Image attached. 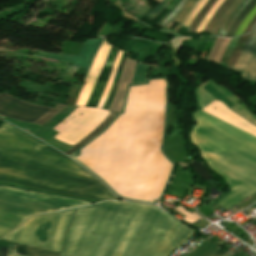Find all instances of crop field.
<instances>
[{"mask_svg": "<svg viewBox=\"0 0 256 256\" xmlns=\"http://www.w3.org/2000/svg\"><path fill=\"white\" fill-rule=\"evenodd\" d=\"M60 253L9 243L8 256H59Z\"/></svg>", "mask_w": 256, "mask_h": 256, "instance_id": "11", "label": "crop field"}, {"mask_svg": "<svg viewBox=\"0 0 256 256\" xmlns=\"http://www.w3.org/2000/svg\"><path fill=\"white\" fill-rule=\"evenodd\" d=\"M231 256H236V255L232 254Z\"/></svg>", "mask_w": 256, "mask_h": 256, "instance_id": "33", "label": "crop field"}, {"mask_svg": "<svg viewBox=\"0 0 256 256\" xmlns=\"http://www.w3.org/2000/svg\"><path fill=\"white\" fill-rule=\"evenodd\" d=\"M8 248L1 247L0 256H6Z\"/></svg>", "mask_w": 256, "mask_h": 256, "instance_id": "32", "label": "crop field"}, {"mask_svg": "<svg viewBox=\"0 0 256 256\" xmlns=\"http://www.w3.org/2000/svg\"><path fill=\"white\" fill-rule=\"evenodd\" d=\"M110 45H108L106 43V41L104 40V42L102 43V45L100 46L96 57L94 59V62L85 78V83L81 89L78 101H77V106H84L89 95L90 92L93 88V85L100 73V70L105 62L106 56L108 54V51L110 49Z\"/></svg>", "mask_w": 256, "mask_h": 256, "instance_id": "9", "label": "crop field"}, {"mask_svg": "<svg viewBox=\"0 0 256 256\" xmlns=\"http://www.w3.org/2000/svg\"><path fill=\"white\" fill-rule=\"evenodd\" d=\"M147 65L137 64L134 70L132 84L145 82V76L148 70Z\"/></svg>", "mask_w": 256, "mask_h": 256, "instance_id": "22", "label": "crop field"}, {"mask_svg": "<svg viewBox=\"0 0 256 256\" xmlns=\"http://www.w3.org/2000/svg\"><path fill=\"white\" fill-rule=\"evenodd\" d=\"M226 252H228V251H226V250H224V249H219V250H217L216 252H214L212 255H210V256H222V255H224Z\"/></svg>", "mask_w": 256, "mask_h": 256, "instance_id": "30", "label": "crop field"}, {"mask_svg": "<svg viewBox=\"0 0 256 256\" xmlns=\"http://www.w3.org/2000/svg\"><path fill=\"white\" fill-rule=\"evenodd\" d=\"M27 192L31 194L27 195ZM90 203L92 202L0 185V237L33 214Z\"/></svg>", "mask_w": 256, "mask_h": 256, "instance_id": "5", "label": "crop field"}, {"mask_svg": "<svg viewBox=\"0 0 256 256\" xmlns=\"http://www.w3.org/2000/svg\"><path fill=\"white\" fill-rule=\"evenodd\" d=\"M186 0H182L177 8L170 14V16L165 20V22L161 25V27H166L169 23V21L174 17V15L178 12V10L181 8V6L184 4Z\"/></svg>", "mask_w": 256, "mask_h": 256, "instance_id": "28", "label": "crop field"}, {"mask_svg": "<svg viewBox=\"0 0 256 256\" xmlns=\"http://www.w3.org/2000/svg\"><path fill=\"white\" fill-rule=\"evenodd\" d=\"M117 113L115 112H111L105 119V121L100 124L98 126V128L93 131L92 133H90L89 135H87L86 137H84L79 143H77L76 145H74L73 147H71L70 149H68L66 152V154H70L72 153L75 149H77L79 146H81L82 144H84L85 142H87L88 140H90L91 138H93L96 134H98L115 116Z\"/></svg>", "mask_w": 256, "mask_h": 256, "instance_id": "13", "label": "crop field"}, {"mask_svg": "<svg viewBox=\"0 0 256 256\" xmlns=\"http://www.w3.org/2000/svg\"><path fill=\"white\" fill-rule=\"evenodd\" d=\"M117 52H118L117 50H115L114 48H111V50L108 54V57L106 59L105 66L102 69V71L98 77V80L92 90L91 96L86 104L87 107H96L97 106L99 98L101 96V93L106 85L108 76L112 69L114 58H115Z\"/></svg>", "mask_w": 256, "mask_h": 256, "instance_id": "10", "label": "crop field"}, {"mask_svg": "<svg viewBox=\"0 0 256 256\" xmlns=\"http://www.w3.org/2000/svg\"><path fill=\"white\" fill-rule=\"evenodd\" d=\"M122 53L123 52H121V51H119V53H118V56L116 58L115 64L113 66V69L111 71L108 83H107V85H106V87H105V89H104V91L102 93V96L100 98L99 104L97 106L99 108H102V106H103V104H104V102H105V100L107 98V95H108V93H109V91L111 89V86H112V83H113V79H114V75H115V72H116V69H117V66H118V63H119V60H120V57H121Z\"/></svg>", "mask_w": 256, "mask_h": 256, "instance_id": "15", "label": "crop field"}, {"mask_svg": "<svg viewBox=\"0 0 256 256\" xmlns=\"http://www.w3.org/2000/svg\"><path fill=\"white\" fill-rule=\"evenodd\" d=\"M233 0H225V2L220 6L218 11L215 13V15L211 18V20L208 22L205 32L210 33L213 25L219 20L221 14L225 11V9L231 4ZM223 15V14H222Z\"/></svg>", "mask_w": 256, "mask_h": 256, "instance_id": "19", "label": "crop field"}, {"mask_svg": "<svg viewBox=\"0 0 256 256\" xmlns=\"http://www.w3.org/2000/svg\"><path fill=\"white\" fill-rule=\"evenodd\" d=\"M66 105L58 104L54 109L49 111L46 115L38 119L34 124L37 125H44L49 119H51L53 116H55L57 113H59Z\"/></svg>", "mask_w": 256, "mask_h": 256, "instance_id": "24", "label": "crop field"}, {"mask_svg": "<svg viewBox=\"0 0 256 256\" xmlns=\"http://www.w3.org/2000/svg\"><path fill=\"white\" fill-rule=\"evenodd\" d=\"M207 0H199L194 10L191 12L189 17L184 22L183 26H189L194 17L197 15V13L200 11V9L203 7V5L206 3Z\"/></svg>", "mask_w": 256, "mask_h": 256, "instance_id": "26", "label": "crop field"}, {"mask_svg": "<svg viewBox=\"0 0 256 256\" xmlns=\"http://www.w3.org/2000/svg\"><path fill=\"white\" fill-rule=\"evenodd\" d=\"M180 2V0L173 6V8L169 11V13L160 21L157 23V25L160 26V24L169 16V14L175 9L176 5Z\"/></svg>", "mask_w": 256, "mask_h": 256, "instance_id": "31", "label": "crop field"}, {"mask_svg": "<svg viewBox=\"0 0 256 256\" xmlns=\"http://www.w3.org/2000/svg\"><path fill=\"white\" fill-rule=\"evenodd\" d=\"M0 103L5 106H8L10 108H13V109H16V110H19L22 112H26V113H29V114H32V115H35L38 117H41L46 112H48L49 110L52 109V108H47V107H43V106L26 103V102H24L18 98H15L5 92L0 93ZM3 105H0V117L1 118H4L5 116H7L12 119L26 121V122H30V123H33L36 119H38V117L10 109Z\"/></svg>", "mask_w": 256, "mask_h": 256, "instance_id": "7", "label": "crop field"}, {"mask_svg": "<svg viewBox=\"0 0 256 256\" xmlns=\"http://www.w3.org/2000/svg\"><path fill=\"white\" fill-rule=\"evenodd\" d=\"M198 0H187L183 5L182 9L176 14L172 21L177 22L182 25L185 18L191 12ZM199 2V1H198Z\"/></svg>", "mask_w": 256, "mask_h": 256, "instance_id": "16", "label": "crop field"}, {"mask_svg": "<svg viewBox=\"0 0 256 256\" xmlns=\"http://www.w3.org/2000/svg\"><path fill=\"white\" fill-rule=\"evenodd\" d=\"M167 3H163L161 2L158 6H156L154 9H152L151 11H149L146 15L148 19H150L152 21V19L157 16L165 7H166Z\"/></svg>", "mask_w": 256, "mask_h": 256, "instance_id": "27", "label": "crop field"}, {"mask_svg": "<svg viewBox=\"0 0 256 256\" xmlns=\"http://www.w3.org/2000/svg\"><path fill=\"white\" fill-rule=\"evenodd\" d=\"M216 0H208V2L205 4V6L201 9V11L198 13V15L195 17L193 23L190 25L188 29V33H193L200 23L203 16L206 14V12L210 9V7L215 3Z\"/></svg>", "mask_w": 256, "mask_h": 256, "instance_id": "18", "label": "crop field"}, {"mask_svg": "<svg viewBox=\"0 0 256 256\" xmlns=\"http://www.w3.org/2000/svg\"><path fill=\"white\" fill-rule=\"evenodd\" d=\"M161 78H165L167 87L165 80ZM161 78L147 79L146 83H142L148 84L149 80L161 79L150 81L148 85L135 84L142 86L130 87L127 101L129 86H134L129 85L126 90L121 113H118L93 139L101 135L120 114H123L127 101L124 114L120 115L101 136L94 141L91 139L69 155L77 162L81 161L92 169L117 193L128 198L152 202H155L160 195L173 164L167 183L160 197L155 203H152L128 199L117 194L92 170L79 162L114 194L127 200L156 204L163 196L174 169L175 163L169 159L163 151L169 106L167 95L169 83L166 77ZM164 90L166 95V116ZM164 116L165 126L163 133ZM162 133L161 151L172 164L160 151Z\"/></svg>", "mask_w": 256, "mask_h": 256, "instance_id": "1", "label": "crop field"}, {"mask_svg": "<svg viewBox=\"0 0 256 256\" xmlns=\"http://www.w3.org/2000/svg\"><path fill=\"white\" fill-rule=\"evenodd\" d=\"M103 38L97 40H86L83 44L74 65L88 68L91 60L98 49Z\"/></svg>", "mask_w": 256, "mask_h": 256, "instance_id": "12", "label": "crop field"}, {"mask_svg": "<svg viewBox=\"0 0 256 256\" xmlns=\"http://www.w3.org/2000/svg\"><path fill=\"white\" fill-rule=\"evenodd\" d=\"M37 54L43 55V56H46V57H50V58H54V59L69 61V62H74V60L76 59V56H74V55L44 53V52H39Z\"/></svg>", "mask_w": 256, "mask_h": 256, "instance_id": "25", "label": "crop field"}, {"mask_svg": "<svg viewBox=\"0 0 256 256\" xmlns=\"http://www.w3.org/2000/svg\"><path fill=\"white\" fill-rule=\"evenodd\" d=\"M234 70L242 71L241 77L256 80V28L251 33Z\"/></svg>", "mask_w": 256, "mask_h": 256, "instance_id": "8", "label": "crop field"}, {"mask_svg": "<svg viewBox=\"0 0 256 256\" xmlns=\"http://www.w3.org/2000/svg\"><path fill=\"white\" fill-rule=\"evenodd\" d=\"M248 35L249 34L243 35L239 39V41H238V43H237V45H236V47H235V49H234V51L232 53L230 61H229L228 65H227V68L232 69L233 65L235 64V62H236V60H237V58H238V56H239V54H240V52H241V50L243 48V45H244Z\"/></svg>", "mask_w": 256, "mask_h": 256, "instance_id": "20", "label": "crop field"}, {"mask_svg": "<svg viewBox=\"0 0 256 256\" xmlns=\"http://www.w3.org/2000/svg\"><path fill=\"white\" fill-rule=\"evenodd\" d=\"M73 210L33 216L2 239L60 252Z\"/></svg>", "mask_w": 256, "mask_h": 256, "instance_id": "6", "label": "crop field"}, {"mask_svg": "<svg viewBox=\"0 0 256 256\" xmlns=\"http://www.w3.org/2000/svg\"><path fill=\"white\" fill-rule=\"evenodd\" d=\"M224 0H217L216 3L211 7V9L207 12V14L202 19L201 23L199 24L198 28L196 29L195 33L202 32L205 28L209 19L214 15L215 11L218 7L223 3Z\"/></svg>", "mask_w": 256, "mask_h": 256, "instance_id": "21", "label": "crop field"}, {"mask_svg": "<svg viewBox=\"0 0 256 256\" xmlns=\"http://www.w3.org/2000/svg\"><path fill=\"white\" fill-rule=\"evenodd\" d=\"M195 93L198 108L256 135L255 126L249 124L250 122L248 123L242 119L218 100L220 98L229 107L241 101L225 87L217 85L210 80L197 87ZM200 109L193 113V115L256 144V136ZM196 117H194L197 122L196 125L256 154V145ZM196 125H194V129L190 134L191 143L200 149L201 156L209 167L220 175L232 190L217 205L224 209H229L256 193V155Z\"/></svg>", "mask_w": 256, "mask_h": 256, "instance_id": "3", "label": "crop field"}, {"mask_svg": "<svg viewBox=\"0 0 256 256\" xmlns=\"http://www.w3.org/2000/svg\"><path fill=\"white\" fill-rule=\"evenodd\" d=\"M255 22H256V16H255V17L253 18V20L249 23V25L245 28V30L243 31V33L249 32ZM255 24H256V23H255Z\"/></svg>", "mask_w": 256, "mask_h": 256, "instance_id": "29", "label": "crop field"}, {"mask_svg": "<svg viewBox=\"0 0 256 256\" xmlns=\"http://www.w3.org/2000/svg\"><path fill=\"white\" fill-rule=\"evenodd\" d=\"M256 4V0H251L249 4L242 10V12L237 16V18L234 20L231 27L228 29L226 36L231 37L238 25L242 22V20L247 16V14L250 12V10L253 8V6Z\"/></svg>", "mask_w": 256, "mask_h": 256, "instance_id": "14", "label": "crop field"}, {"mask_svg": "<svg viewBox=\"0 0 256 256\" xmlns=\"http://www.w3.org/2000/svg\"><path fill=\"white\" fill-rule=\"evenodd\" d=\"M231 109L237 113H239L240 115L246 117L247 119H249L250 121L256 123V115H254L251 111H249L243 102H241L238 105H235L233 107H231Z\"/></svg>", "mask_w": 256, "mask_h": 256, "instance_id": "23", "label": "crop field"}, {"mask_svg": "<svg viewBox=\"0 0 256 256\" xmlns=\"http://www.w3.org/2000/svg\"><path fill=\"white\" fill-rule=\"evenodd\" d=\"M0 180L96 201L119 198L64 154L3 122Z\"/></svg>", "mask_w": 256, "mask_h": 256, "instance_id": "4", "label": "crop field"}, {"mask_svg": "<svg viewBox=\"0 0 256 256\" xmlns=\"http://www.w3.org/2000/svg\"><path fill=\"white\" fill-rule=\"evenodd\" d=\"M185 256V255H184Z\"/></svg>", "mask_w": 256, "mask_h": 256, "instance_id": "34", "label": "crop field"}, {"mask_svg": "<svg viewBox=\"0 0 256 256\" xmlns=\"http://www.w3.org/2000/svg\"><path fill=\"white\" fill-rule=\"evenodd\" d=\"M250 0H242V2L237 6V8L233 11V13L230 15L226 23L221 28L219 35L225 36V33L229 26L232 24L233 20L236 18V16L240 13V11L247 5V3Z\"/></svg>", "mask_w": 256, "mask_h": 256, "instance_id": "17", "label": "crop field"}, {"mask_svg": "<svg viewBox=\"0 0 256 256\" xmlns=\"http://www.w3.org/2000/svg\"><path fill=\"white\" fill-rule=\"evenodd\" d=\"M195 233L151 205L100 202L76 210L61 256H169Z\"/></svg>", "mask_w": 256, "mask_h": 256, "instance_id": "2", "label": "crop field"}]
</instances>
